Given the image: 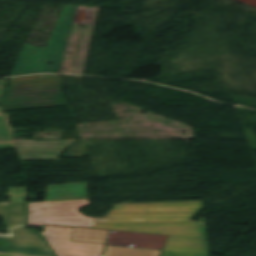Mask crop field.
I'll use <instances>...</instances> for the list:
<instances>
[{"instance_id": "crop-field-8", "label": "crop field", "mask_w": 256, "mask_h": 256, "mask_svg": "<svg viewBox=\"0 0 256 256\" xmlns=\"http://www.w3.org/2000/svg\"><path fill=\"white\" fill-rule=\"evenodd\" d=\"M110 231L74 228L71 241L104 244Z\"/></svg>"}, {"instance_id": "crop-field-11", "label": "crop field", "mask_w": 256, "mask_h": 256, "mask_svg": "<svg viewBox=\"0 0 256 256\" xmlns=\"http://www.w3.org/2000/svg\"><path fill=\"white\" fill-rule=\"evenodd\" d=\"M5 148H15V147L13 143L0 144V149H5Z\"/></svg>"}, {"instance_id": "crop-field-6", "label": "crop field", "mask_w": 256, "mask_h": 256, "mask_svg": "<svg viewBox=\"0 0 256 256\" xmlns=\"http://www.w3.org/2000/svg\"><path fill=\"white\" fill-rule=\"evenodd\" d=\"M75 140L40 141L14 140L21 160H58Z\"/></svg>"}, {"instance_id": "crop-field-12", "label": "crop field", "mask_w": 256, "mask_h": 256, "mask_svg": "<svg viewBox=\"0 0 256 256\" xmlns=\"http://www.w3.org/2000/svg\"><path fill=\"white\" fill-rule=\"evenodd\" d=\"M4 83H5L4 80H0V93H1V91H2V89H3ZM0 113H2V112H1V108H0Z\"/></svg>"}, {"instance_id": "crop-field-1", "label": "crop field", "mask_w": 256, "mask_h": 256, "mask_svg": "<svg viewBox=\"0 0 256 256\" xmlns=\"http://www.w3.org/2000/svg\"><path fill=\"white\" fill-rule=\"evenodd\" d=\"M88 204V200L28 203V224L85 227L116 231L206 238L204 222H195L191 220L201 208V201L115 205L116 208L103 218H88L76 211V209ZM34 205H36V207H34ZM143 222L189 223L97 225V223Z\"/></svg>"}, {"instance_id": "crop-field-10", "label": "crop field", "mask_w": 256, "mask_h": 256, "mask_svg": "<svg viewBox=\"0 0 256 256\" xmlns=\"http://www.w3.org/2000/svg\"><path fill=\"white\" fill-rule=\"evenodd\" d=\"M9 193L6 196H10V202H24L26 191L25 188H8Z\"/></svg>"}, {"instance_id": "crop-field-3", "label": "crop field", "mask_w": 256, "mask_h": 256, "mask_svg": "<svg viewBox=\"0 0 256 256\" xmlns=\"http://www.w3.org/2000/svg\"><path fill=\"white\" fill-rule=\"evenodd\" d=\"M78 6L65 5L61 11L57 25L39 60L43 48H35L25 43L11 75L33 73H57L63 50L71 26L73 15ZM35 51V53H32ZM53 63V66H50ZM10 75V76H11Z\"/></svg>"}, {"instance_id": "crop-field-5", "label": "crop field", "mask_w": 256, "mask_h": 256, "mask_svg": "<svg viewBox=\"0 0 256 256\" xmlns=\"http://www.w3.org/2000/svg\"><path fill=\"white\" fill-rule=\"evenodd\" d=\"M42 236L57 256H100L104 245L70 242L73 228L44 226Z\"/></svg>"}, {"instance_id": "crop-field-13", "label": "crop field", "mask_w": 256, "mask_h": 256, "mask_svg": "<svg viewBox=\"0 0 256 256\" xmlns=\"http://www.w3.org/2000/svg\"><path fill=\"white\" fill-rule=\"evenodd\" d=\"M0 256H17V255H5V254H0Z\"/></svg>"}, {"instance_id": "crop-field-9", "label": "crop field", "mask_w": 256, "mask_h": 256, "mask_svg": "<svg viewBox=\"0 0 256 256\" xmlns=\"http://www.w3.org/2000/svg\"><path fill=\"white\" fill-rule=\"evenodd\" d=\"M162 251L105 246L101 256H160Z\"/></svg>"}, {"instance_id": "crop-field-7", "label": "crop field", "mask_w": 256, "mask_h": 256, "mask_svg": "<svg viewBox=\"0 0 256 256\" xmlns=\"http://www.w3.org/2000/svg\"><path fill=\"white\" fill-rule=\"evenodd\" d=\"M161 256H209L206 239L169 236Z\"/></svg>"}, {"instance_id": "crop-field-2", "label": "crop field", "mask_w": 256, "mask_h": 256, "mask_svg": "<svg viewBox=\"0 0 256 256\" xmlns=\"http://www.w3.org/2000/svg\"><path fill=\"white\" fill-rule=\"evenodd\" d=\"M0 102L4 110L69 105L58 75L12 78Z\"/></svg>"}, {"instance_id": "crop-field-4", "label": "crop field", "mask_w": 256, "mask_h": 256, "mask_svg": "<svg viewBox=\"0 0 256 256\" xmlns=\"http://www.w3.org/2000/svg\"><path fill=\"white\" fill-rule=\"evenodd\" d=\"M12 237H0V253L54 256L42 238L25 226V202L0 204Z\"/></svg>"}]
</instances>
